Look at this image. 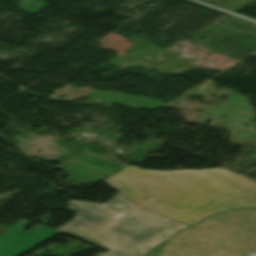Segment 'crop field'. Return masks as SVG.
Here are the masks:
<instances>
[{"instance_id":"7","label":"crop field","mask_w":256,"mask_h":256,"mask_svg":"<svg viewBox=\"0 0 256 256\" xmlns=\"http://www.w3.org/2000/svg\"><path fill=\"white\" fill-rule=\"evenodd\" d=\"M163 246H164L163 244L159 245V246H158L157 248H155L153 251H151L150 253H148L147 256H156V255L159 253V251L162 249Z\"/></svg>"},{"instance_id":"8","label":"crop field","mask_w":256,"mask_h":256,"mask_svg":"<svg viewBox=\"0 0 256 256\" xmlns=\"http://www.w3.org/2000/svg\"><path fill=\"white\" fill-rule=\"evenodd\" d=\"M7 229H8V227H5V226L0 225V235H1L4 231H6Z\"/></svg>"},{"instance_id":"6","label":"crop field","mask_w":256,"mask_h":256,"mask_svg":"<svg viewBox=\"0 0 256 256\" xmlns=\"http://www.w3.org/2000/svg\"><path fill=\"white\" fill-rule=\"evenodd\" d=\"M220 204H223L233 209L256 207V194L222 202Z\"/></svg>"},{"instance_id":"2","label":"crop field","mask_w":256,"mask_h":256,"mask_svg":"<svg viewBox=\"0 0 256 256\" xmlns=\"http://www.w3.org/2000/svg\"><path fill=\"white\" fill-rule=\"evenodd\" d=\"M256 255V209L214 215L176 234L158 256Z\"/></svg>"},{"instance_id":"5","label":"crop field","mask_w":256,"mask_h":256,"mask_svg":"<svg viewBox=\"0 0 256 256\" xmlns=\"http://www.w3.org/2000/svg\"><path fill=\"white\" fill-rule=\"evenodd\" d=\"M28 222L19 220L0 236V256H19L44 241L59 234V232L44 226H37L25 233L21 231Z\"/></svg>"},{"instance_id":"3","label":"crop field","mask_w":256,"mask_h":256,"mask_svg":"<svg viewBox=\"0 0 256 256\" xmlns=\"http://www.w3.org/2000/svg\"><path fill=\"white\" fill-rule=\"evenodd\" d=\"M184 227L187 226L140 207L113 222L111 252L104 255L144 256Z\"/></svg>"},{"instance_id":"4","label":"crop field","mask_w":256,"mask_h":256,"mask_svg":"<svg viewBox=\"0 0 256 256\" xmlns=\"http://www.w3.org/2000/svg\"><path fill=\"white\" fill-rule=\"evenodd\" d=\"M136 206V203L120 193L104 205L68 201L69 210L76 212L77 215L58 231L109 250L110 222L107 221L119 218Z\"/></svg>"},{"instance_id":"1","label":"crop field","mask_w":256,"mask_h":256,"mask_svg":"<svg viewBox=\"0 0 256 256\" xmlns=\"http://www.w3.org/2000/svg\"><path fill=\"white\" fill-rule=\"evenodd\" d=\"M140 206L192 225L221 211L218 202L256 193V182L218 169L142 170L128 166L103 180Z\"/></svg>"}]
</instances>
